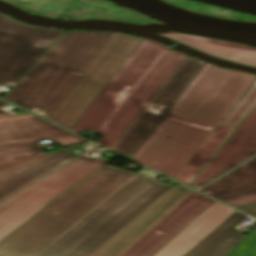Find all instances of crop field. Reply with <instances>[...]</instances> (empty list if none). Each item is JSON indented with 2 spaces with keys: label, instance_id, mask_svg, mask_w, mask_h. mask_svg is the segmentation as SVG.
<instances>
[{
  "label": "crop field",
  "instance_id": "obj_1",
  "mask_svg": "<svg viewBox=\"0 0 256 256\" xmlns=\"http://www.w3.org/2000/svg\"><path fill=\"white\" fill-rule=\"evenodd\" d=\"M255 79L206 63L131 159L175 179Z\"/></svg>",
  "mask_w": 256,
  "mask_h": 256
},
{
  "label": "crop field",
  "instance_id": "obj_2",
  "mask_svg": "<svg viewBox=\"0 0 256 256\" xmlns=\"http://www.w3.org/2000/svg\"><path fill=\"white\" fill-rule=\"evenodd\" d=\"M185 57L144 39L70 130L95 131L111 149Z\"/></svg>",
  "mask_w": 256,
  "mask_h": 256
},
{
  "label": "crop field",
  "instance_id": "obj_3",
  "mask_svg": "<svg viewBox=\"0 0 256 256\" xmlns=\"http://www.w3.org/2000/svg\"><path fill=\"white\" fill-rule=\"evenodd\" d=\"M114 33L66 32L5 99L50 120Z\"/></svg>",
  "mask_w": 256,
  "mask_h": 256
},
{
  "label": "crop field",
  "instance_id": "obj_4",
  "mask_svg": "<svg viewBox=\"0 0 256 256\" xmlns=\"http://www.w3.org/2000/svg\"><path fill=\"white\" fill-rule=\"evenodd\" d=\"M135 175L137 173L105 164L2 241L0 256H36Z\"/></svg>",
  "mask_w": 256,
  "mask_h": 256
},
{
  "label": "crop field",
  "instance_id": "obj_5",
  "mask_svg": "<svg viewBox=\"0 0 256 256\" xmlns=\"http://www.w3.org/2000/svg\"><path fill=\"white\" fill-rule=\"evenodd\" d=\"M143 169L37 256H91L174 186Z\"/></svg>",
  "mask_w": 256,
  "mask_h": 256
},
{
  "label": "crop field",
  "instance_id": "obj_6",
  "mask_svg": "<svg viewBox=\"0 0 256 256\" xmlns=\"http://www.w3.org/2000/svg\"><path fill=\"white\" fill-rule=\"evenodd\" d=\"M106 162L108 161L79 156L47 177L0 203V242L47 203L96 171Z\"/></svg>",
  "mask_w": 256,
  "mask_h": 256
},
{
  "label": "crop field",
  "instance_id": "obj_7",
  "mask_svg": "<svg viewBox=\"0 0 256 256\" xmlns=\"http://www.w3.org/2000/svg\"><path fill=\"white\" fill-rule=\"evenodd\" d=\"M141 41L115 33L51 120L70 129Z\"/></svg>",
  "mask_w": 256,
  "mask_h": 256
},
{
  "label": "crop field",
  "instance_id": "obj_8",
  "mask_svg": "<svg viewBox=\"0 0 256 256\" xmlns=\"http://www.w3.org/2000/svg\"><path fill=\"white\" fill-rule=\"evenodd\" d=\"M63 32L0 14V84L14 86Z\"/></svg>",
  "mask_w": 256,
  "mask_h": 256
},
{
  "label": "crop field",
  "instance_id": "obj_9",
  "mask_svg": "<svg viewBox=\"0 0 256 256\" xmlns=\"http://www.w3.org/2000/svg\"><path fill=\"white\" fill-rule=\"evenodd\" d=\"M204 64L186 57L112 150L131 158Z\"/></svg>",
  "mask_w": 256,
  "mask_h": 256
},
{
  "label": "crop field",
  "instance_id": "obj_10",
  "mask_svg": "<svg viewBox=\"0 0 256 256\" xmlns=\"http://www.w3.org/2000/svg\"><path fill=\"white\" fill-rule=\"evenodd\" d=\"M67 133L30 113L0 115V163L43 153L28 139Z\"/></svg>",
  "mask_w": 256,
  "mask_h": 256
},
{
  "label": "crop field",
  "instance_id": "obj_11",
  "mask_svg": "<svg viewBox=\"0 0 256 256\" xmlns=\"http://www.w3.org/2000/svg\"><path fill=\"white\" fill-rule=\"evenodd\" d=\"M214 202L193 191L123 256L155 255ZM161 229L166 231L159 233Z\"/></svg>",
  "mask_w": 256,
  "mask_h": 256
},
{
  "label": "crop field",
  "instance_id": "obj_12",
  "mask_svg": "<svg viewBox=\"0 0 256 256\" xmlns=\"http://www.w3.org/2000/svg\"><path fill=\"white\" fill-rule=\"evenodd\" d=\"M256 155V106L190 185L197 189Z\"/></svg>",
  "mask_w": 256,
  "mask_h": 256
},
{
  "label": "crop field",
  "instance_id": "obj_13",
  "mask_svg": "<svg viewBox=\"0 0 256 256\" xmlns=\"http://www.w3.org/2000/svg\"><path fill=\"white\" fill-rule=\"evenodd\" d=\"M193 190L177 185L92 256H121Z\"/></svg>",
  "mask_w": 256,
  "mask_h": 256
},
{
  "label": "crop field",
  "instance_id": "obj_14",
  "mask_svg": "<svg viewBox=\"0 0 256 256\" xmlns=\"http://www.w3.org/2000/svg\"><path fill=\"white\" fill-rule=\"evenodd\" d=\"M236 211L215 202L155 256H182ZM154 256V255H153Z\"/></svg>",
  "mask_w": 256,
  "mask_h": 256
},
{
  "label": "crop field",
  "instance_id": "obj_15",
  "mask_svg": "<svg viewBox=\"0 0 256 256\" xmlns=\"http://www.w3.org/2000/svg\"><path fill=\"white\" fill-rule=\"evenodd\" d=\"M159 35L166 36L219 59L256 67V48L178 32L162 33ZM236 56L240 58L234 59Z\"/></svg>",
  "mask_w": 256,
  "mask_h": 256
},
{
  "label": "crop field",
  "instance_id": "obj_16",
  "mask_svg": "<svg viewBox=\"0 0 256 256\" xmlns=\"http://www.w3.org/2000/svg\"><path fill=\"white\" fill-rule=\"evenodd\" d=\"M199 191L222 202L256 193V157Z\"/></svg>",
  "mask_w": 256,
  "mask_h": 256
},
{
  "label": "crop field",
  "instance_id": "obj_17",
  "mask_svg": "<svg viewBox=\"0 0 256 256\" xmlns=\"http://www.w3.org/2000/svg\"><path fill=\"white\" fill-rule=\"evenodd\" d=\"M77 156L66 152L0 179V202L47 176Z\"/></svg>",
  "mask_w": 256,
  "mask_h": 256
},
{
  "label": "crop field",
  "instance_id": "obj_18",
  "mask_svg": "<svg viewBox=\"0 0 256 256\" xmlns=\"http://www.w3.org/2000/svg\"><path fill=\"white\" fill-rule=\"evenodd\" d=\"M244 215L236 212L184 256H226L246 236L230 230Z\"/></svg>",
  "mask_w": 256,
  "mask_h": 256
},
{
  "label": "crop field",
  "instance_id": "obj_19",
  "mask_svg": "<svg viewBox=\"0 0 256 256\" xmlns=\"http://www.w3.org/2000/svg\"><path fill=\"white\" fill-rule=\"evenodd\" d=\"M235 128L218 125L199 150L190 159L175 180L187 185L190 184L212 156L217 152Z\"/></svg>",
  "mask_w": 256,
  "mask_h": 256
},
{
  "label": "crop field",
  "instance_id": "obj_20",
  "mask_svg": "<svg viewBox=\"0 0 256 256\" xmlns=\"http://www.w3.org/2000/svg\"><path fill=\"white\" fill-rule=\"evenodd\" d=\"M256 105V80L243 94L220 124L237 127L250 110Z\"/></svg>",
  "mask_w": 256,
  "mask_h": 256
},
{
  "label": "crop field",
  "instance_id": "obj_21",
  "mask_svg": "<svg viewBox=\"0 0 256 256\" xmlns=\"http://www.w3.org/2000/svg\"><path fill=\"white\" fill-rule=\"evenodd\" d=\"M42 139H48L62 147L72 145V144L86 142L85 139H83L75 134H67V135L53 136V137H47V138L33 139L31 141L33 143L37 144V142Z\"/></svg>",
  "mask_w": 256,
  "mask_h": 256
},
{
  "label": "crop field",
  "instance_id": "obj_22",
  "mask_svg": "<svg viewBox=\"0 0 256 256\" xmlns=\"http://www.w3.org/2000/svg\"><path fill=\"white\" fill-rule=\"evenodd\" d=\"M69 150H71V149H69ZM69 150H66V151H69ZM63 152H65V151H63ZM60 153H62V152L55 153V154H51V155H47V156L42 157V158H38V159L29 161V162H25V163H22V164H19V165H16V166H12V167H9V168L0 170V178H1V177H4V176H6V175H9V174H11V173H14V172H16V171H18V170H20V169H23V168H25V167H27V166H30V165H32V164H35V163H37V162H40V161L46 160V159H48V158L54 157V156H56V155H58V154H60Z\"/></svg>",
  "mask_w": 256,
  "mask_h": 256
},
{
  "label": "crop field",
  "instance_id": "obj_23",
  "mask_svg": "<svg viewBox=\"0 0 256 256\" xmlns=\"http://www.w3.org/2000/svg\"><path fill=\"white\" fill-rule=\"evenodd\" d=\"M255 201H256V194H253V195L237 198L234 200H230L224 203L229 204L233 207H236V206H240V205L255 202Z\"/></svg>",
  "mask_w": 256,
  "mask_h": 256
},
{
  "label": "crop field",
  "instance_id": "obj_24",
  "mask_svg": "<svg viewBox=\"0 0 256 256\" xmlns=\"http://www.w3.org/2000/svg\"><path fill=\"white\" fill-rule=\"evenodd\" d=\"M236 208L256 218V202Z\"/></svg>",
  "mask_w": 256,
  "mask_h": 256
},
{
  "label": "crop field",
  "instance_id": "obj_25",
  "mask_svg": "<svg viewBox=\"0 0 256 256\" xmlns=\"http://www.w3.org/2000/svg\"><path fill=\"white\" fill-rule=\"evenodd\" d=\"M75 147H76V146H75ZM71 148H73V147H71ZM66 149H69V148H66ZM66 149H62V150H66ZM62 150H57V151H53V152H48V153H45V154H42V155H38V156H34V157H30V158H26V159L14 161V162L2 164V165H0V169L5 168V167H8V166H11V165H15V164H18V163H21V162H24V161H28V160H31V159H34V158H37V157H40V156H44V155H47V154H50V153L62 151Z\"/></svg>",
  "mask_w": 256,
  "mask_h": 256
},
{
  "label": "crop field",
  "instance_id": "obj_26",
  "mask_svg": "<svg viewBox=\"0 0 256 256\" xmlns=\"http://www.w3.org/2000/svg\"><path fill=\"white\" fill-rule=\"evenodd\" d=\"M4 104H7V103L0 100V106H2V105H4ZM5 113H6L5 111H3V110L0 109V114H5Z\"/></svg>",
  "mask_w": 256,
  "mask_h": 256
},
{
  "label": "crop field",
  "instance_id": "obj_27",
  "mask_svg": "<svg viewBox=\"0 0 256 256\" xmlns=\"http://www.w3.org/2000/svg\"><path fill=\"white\" fill-rule=\"evenodd\" d=\"M32 112H34V113H36V114H38V115H40V111H38V110H31Z\"/></svg>",
  "mask_w": 256,
  "mask_h": 256
}]
</instances>
